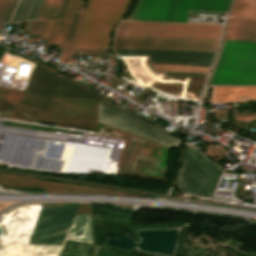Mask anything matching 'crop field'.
<instances>
[{"label":"crop field","instance_id":"obj_17","mask_svg":"<svg viewBox=\"0 0 256 256\" xmlns=\"http://www.w3.org/2000/svg\"><path fill=\"white\" fill-rule=\"evenodd\" d=\"M79 14L80 13H77V12H74V14H73L70 30H69V32H68V34L65 38V41L63 43V46H62V49H64V51H63V53L60 57L61 61L64 60L72 42H73L74 35H75V32H76V28H77L78 19H79Z\"/></svg>","mask_w":256,"mask_h":256},{"label":"crop field","instance_id":"obj_2","mask_svg":"<svg viewBox=\"0 0 256 256\" xmlns=\"http://www.w3.org/2000/svg\"><path fill=\"white\" fill-rule=\"evenodd\" d=\"M224 43L256 45V20L230 18ZM223 44L209 84L256 85V46Z\"/></svg>","mask_w":256,"mask_h":256},{"label":"crop field","instance_id":"obj_20","mask_svg":"<svg viewBox=\"0 0 256 256\" xmlns=\"http://www.w3.org/2000/svg\"><path fill=\"white\" fill-rule=\"evenodd\" d=\"M84 1H83V5H84ZM83 5H82V9H81V15H80L79 24H78L77 32H76V35H75V39H74V42H73V44H72V46H71V48H70V50H69V52H68V54L65 58V61H66V59L68 58L69 55H72V53L74 51V48L76 46L77 40H78V36H79V33H80V28H81L83 10H84ZM65 61H64V63H65Z\"/></svg>","mask_w":256,"mask_h":256},{"label":"crop field","instance_id":"obj_6","mask_svg":"<svg viewBox=\"0 0 256 256\" xmlns=\"http://www.w3.org/2000/svg\"><path fill=\"white\" fill-rule=\"evenodd\" d=\"M98 121L168 147L179 149L182 144L177 138L136 117L132 113L100 102L98 106Z\"/></svg>","mask_w":256,"mask_h":256},{"label":"crop field","instance_id":"obj_5","mask_svg":"<svg viewBox=\"0 0 256 256\" xmlns=\"http://www.w3.org/2000/svg\"><path fill=\"white\" fill-rule=\"evenodd\" d=\"M221 168L190 145H186L177 180L180 189L213 195Z\"/></svg>","mask_w":256,"mask_h":256},{"label":"crop field","instance_id":"obj_9","mask_svg":"<svg viewBox=\"0 0 256 256\" xmlns=\"http://www.w3.org/2000/svg\"><path fill=\"white\" fill-rule=\"evenodd\" d=\"M219 40L115 37L114 48L216 50Z\"/></svg>","mask_w":256,"mask_h":256},{"label":"crop field","instance_id":"obj_16","mask_svg":"<svg viewBox=\"0 0 256 256\" xmlns=\"http://www.w3.org/2000/svg\"><path fill=\"white\" fill-rule=\"evenodd\" d=\"M231 15L256 16V0H236Z\"/></svg>","mask_w":256,"mask_h":256},{"label":"crop field","instance_id":"obj_11","mask_svg":"<svg viewBox=\"0 0 256 256\" xmlns=\"http://www.w3.org/2000/svg\"><path fill=\"white\" fill-rule=\"evenodd\" d=\"M250 100H256V87H216L213 102H240Z\"/></svg>","mask_w":256,"mask_h":256},{"label":"crop field","instance_id":"obj_8","mask_svg":"<svg viewBox=\"0 0 256 256\" xmlns=\"http://www.w3.org/2000/svg\"><path fill=\"white\" fill-rule=\"evenodd\" d=\"M223 26L121 23L115 36L220 38Z\"/></svg>","mask_w":256,"mask_h":256},{"label":"crop field","instance_id":"obj_10","mask_svg":"<svg viewBox=\"0 0 256 256\" xmlns=\"http://www.w3.org/2000/svg\"><path fill=\"white\" fill-rule=\"evenodd\" d=\"M120 56H148L149 63L210 67L216 51L114 49Z\"/></svg>","mask_w":256,"mask_h":256},{"label":"crop field","instance_id":"obj_19","mask_svg":"<svg viewBox=\"0 0 256 256\" xmlns=\"http://www.w3.org/2000/svg\"><path fill=\"white\" fill-rule=\"evenodd\" d=\"M14 0H6L1 11H0V23H4Z\"/></svg>","mask_w":256,"mask_h":256},{"label":"crop field","instance_id":"obj_23","mask_svg":"<svg viewBox=\"0 0 256 256\" xmlns=\"http://www.w3.org/2000/svg\"><path fill=\"white\" fill-rule=\"evenodd\" d=\"M3 2H4V0H0V9H1Z\"/></svg>","mask_w":256,"mask_h":256},{"label":"crop field","instance_id":"obj_15","mask_svg":"<svg viewBox=\"0 0 256 256\" xmlns=\"http://www.w3.org/2000/svg\"><path fill=\"white\" fill-rule=\"evenodd\" d=\"M155 71L207 73L209 68L175 64H152Z\"/></svg>","mask_w":256,"mask_h":256},{"label":"crop field","instance_id":"obj_14","mask_svg":"<svg viewBox=\"0 0 256 256\" xmlns=\"http://www.w3.org/2000/svg\"><path fill=\"white\" fill-rule=\"evenodd\" d=\"M75 2H76V0H68L67 6L65 9V13H64V17H63V23L53 41V44L58 45L57 48H59V49L64 41V38H65L68 30H69L71 17H72L74 7H75Z\"/></svg>","mask_w":256,"mask_h":256},{"label":"crop field","instance_id":"obj_12","mask_svg":"<svg viewBox=\"0 0 256 256\" xmlns=\"http://www.w3.org/2000/svg\"><path fill=\"white\" fill-rule=\"evenodd\" d=\"M44 0H16L5 23L37 19Z\"/></svg>","mask_w":256,"mask_h":256},{"label":"crop field","instance_id":"obj_22","mask_svg":"<svg viewBox=\"0 0 256 256\" xmlns=\"http://www.w3.org/2000/svg\"><path fill=\"white\" fill-rule=\"evenodd\" d=\"M165 74H175V75H196V76H206L207 74H197V73H175V72H165Z\"/></svg>","mask_w":256,"mask_h":256},{"label":"crop field","instance_id":"obj_4","mask_svg":"<svg viewBox=\"0 0 256 256\" xmlns=\"http://www.w3.org/2000/svg\"><path fill=\"white\" fill-rule=\"evenodd\" d=\"M231 0H141L130 20L187 22V12L226 14Z\"/></svg>","mask_w":256,"mask_h":256},{"label":"crop field","instance_id":"obj_21","mask_svg":"<svg viewBox=\"0 0 256 256\" xmlns=\"http://www.w3.org/2000/svg\"><path fill=\"white\" fill-rule=\"evenodd\" d=\"M46 24H47V21H37L32 32L41 35Z\"/></svg>","mask_w":256,"mask_h":256},{"label":"crop field","instance_id":"obj_13","mask_svg":"<svg viewBox=\"0 0 256 256\" xmlns=\"http://www.w3.org/2000/svg\"><path fill=\"white\" fill-rule=\"evenodd\" d=\"M67 0H45L38 19H62Z\"/></svg>","mask_w":256,"mask_h":256},{"label":"crop field","instance_id":"obj_7","mask_svg":"<svg viewBox=\"0 0 256 256\" xmlns=\"http://www.w3.org/2000/svg\"><path fill=\"white\" fill-rule=\"evenodd\" d=\"M79 204L40 203L30 237L61 242Z\"/></svg>","mask_w":256,"mask_h":256},{"label":"crop field","instance_id":"obj_3","mask_svg":"<svg viewBox=\"0 0 256 256\" xmlns=\"http://www.w3.org/2000/svg\"><path fill=\"white\" fill-rule=\"evenodd\" d=\"M130 0H88L75 52H107L108 31Z\"/></svg>","mask_w":256,"mask_h":256},{"label":"crop field","instance_id":"obj_18","mask_svg":"<svg viewBox=\"0 0 256 256\" xmlns=\"http://www.w3.org/2000/svg\"><path fill=\"white\" fill-rule=\"evenodd\" d=\"M45 123L76 126L80 128H96L97 122H84V121H43Z\"/></svg>","mask_w":256,"mask_h":256},{"label":"crop field","instance_id":"obj_1","mask_svg":"<svg viewBox=\"0 0 256 256\" xmlns=\"http://www.w3.org/2000/svg\"><path fill=\"white\" fill-rule=\"evenodd\" d=\"M26 93L12 119L97 121L98 101L118 106L69 77L37 61Z\"/></svg>","mask_w":256,"mask_h":256}]
</instances>
